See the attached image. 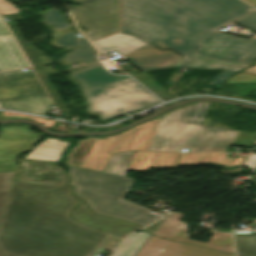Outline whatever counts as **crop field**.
Here are the masks:
<instances>
[{
    "instance_id": "13",
    "label": "crop field",
    "mask_w": 256,
    "mask_h": 256,
    "mask_svg": "<svg viewBox=\"0 0 256 256\" xmlns=\"http://www.w3.org/2000/svg\"><path fill=\"white\" fill-rule=\"evenodd\" d=\"M67 142H60L58 139L47 138L39 143L35 149L25 158L20 166L43 169L48 161H58L61 152Z\"/></svg>"
},
{
    "instance_id": "22",
    "label": "crop field",
    "mask_w": 256,
    "mask_h": 256,
    "mask_svg": "<svg viewBox=\"0 0 256 256\" xmlns=\"http://www.w3.org/2000/svg\"><path fill=\"white\" fill-rule=\"evenodd\" d=\"M256 32V11L235 21Z\"/></svg>"
},
{
    "instance_id": "30",
    "label": "crop field",
    "mask_w": 256,
    "mask_h": 256,
    "mask_svg": "<svg viewBox=\"0 0 256 256\" xmlns=\"http://www.w3.org/2000/svg\"><path fill=\"white\" fill-rule=\"evenodd\" d=\"M0 117H4V115L2 114V112H0Z\"/></svg>"
},
{
    "instance_id": "25",
    "label": "crop field",
    "mask_w": 256,
    "mask_h": 256,
    "mask_svg": "<svg viewBox=\"0 0 256 256\" xmlns=\"http://www.w3.org/2000/svg\"><path fill=\"white\" fill-rule=\"evenodd\" d=\"M166 219V217L160 219L159 221L153 223L151 226H149L148 228H146V230L152 234L153 232H155L157 230V228L162 224V222Z\"/></svg>"
},
{
    "instance_id": "17",
    "label": "crop field",
    "mask_w": 256,
    "mask_h": 256,
    "mask_svg": "<svg viewBox=\"0 0 256 256\" xmlns=\"http://www.w3.org/2000/svg\"><path fill=\"white\" fill-rule=\"evenodd\" d=\"M45 12H46L47 16L44 20L47 23L57 24L55 27L56 29H63V28H67V27L70 28V26L67 24V22L63 19V17L59 14L58 11L52 9V10H48ZM75 39H76V37L72 30V32L66 33L63 37L58 39L56 42L59 45H63L67 48H70V47H74L77 45Z\"/></svg>"
},
{
    "instance_id": "9",
    "label": "crop field",
    "mask_w": 256,
    "mask_h": 256,
    "mask_svg": "<svg viewBox=\"0 0 256 256\" xmlns=\"http://www.w3.org/2000/svg\"><path fill=\"white\" fill-rule=\"evenodd\" d=\"M81 6L71 9L78 25L92 41L119 31V0H73Z\"/></svg>"
},
{
    "instance_id": "24",
    "label": "crop field",
    "mask_w": 256,
    "mask_h": 256,
    "mask_svg": "<svg viewBox=\"0 0 256 256\" xmlns=\"http://www.w3.org/2000/svg\"><path fill=\"white\" fill-rule=\"evenodd\" d=\"M217 104H218V103H216V102H210V104H209V106H208V108H207V109H209L208 112H210V114H208V112H207L206 116H205V117L203 116V118H202V120H201V122H200L201 125H206V126L209 125L210 120H211V118H212V117H211L212 112H214V110H215ZM206 111H207V110H206ZM205 113H206V112H205ZM204 115H205V114H204Z\"/></svg>"
},
{
    "instance_id": "21",
    "label": "crop field",
    "mask_w": 256,
    "mask_h": 256,
    "mask_svg": "<svg viewBox=\"0 0 256 256\" xmlns=\"http://www.w3.org/2000/svg\"><path fill=\"white\" fill-rule=\"evenodd\" d=\"M237 83H256V76L240 72L224 84H237Z\"/></svg>"
},
{
    "instance_id": "5",
    "label": "crop field",
    "mask_w": 256,
    "mask_h": 256,
    "mask_svg": "<svg viewBox=\"0 0 256 256\" xmlns=\"http://www.w3.org/2000/svg\"><path fill=\"white\" fill-rule=\"evenodd\" d=\"M69 168L71 186H76L77 197L87 201L97 214L112 216L134 222L142 227L159 219L147 213L151 209L124 200L125 193L132 187L135 179L100 172Z\"/></svg>"
},
{
    "instance_id": "15",
    "label": "crop field",
    "mask_w": 256,
    "mask_h": 256,
    "mask_svg": "<svg viewBox=\"0 0 256 256\" xmlns=\"http://www.w3.org/2000/svg\"><path fill=\"white\" fill-rule=\"evenodd\" d=\"M19 181L48 185H66L64 169L58 166H47L44 170L23 167L20 169Z\"/></svg>"
},
{
    "instance_id": "1",
    "label": "crop field",
    "mask_w": 256,
    "mask_h": 256,
    "mask_svg": "<svg viewBox=\"0 0 256 256\" xmlns=\"http://www.w3.org/2000/svg\"><path fill=\"white\" fill-rule=\"evenodd\" d=\"M253 10L238 0H122V31L182 55L171 67L226 69L207 83L219 85L256 57V39L216 29Z\"/></svg>"
},
{
    "instance_id": "18",
    "label": "crop field",
    "mask_w": 256,
    "mask_h": 256,
    "mask_svg": "<svg viewBox=\"0 0 256 256\" xmlns=\"http://www.w3.org/2000/svg\"><path fill=\"white\" fill-rule=\"evenodd\" d=\"M151 235L147 233L132 234L117 248L112 256H134L140 247L147 241Z\"/></svg>"
},
{
    "instance_id": "11",
    "label": "crop field",
    "mask_w": 256,
    "mask_h": 256,
    "mask_svg": "<svg viewBox=\"0 0 256 256\" xmlns=\"http://www.w3.org/2000/svg\"><path fill=\"white\" fill-rule=\"evenodd\" d=\"M72 216L84 227L112 236L120 241L130 232L141 227L120 220L93 215L81 201V204L72 212Z\"/></svg>"
},
{
    "instance_id": "27",
    "label": "crop field",
    "mask_w": 256,
    "mask_h": 256,
    "mask_svg": "<svg viewBox=\"0 0 256 256\" xmlns=\"http://www.w3.org/2000/svg\"><path fill=\"white\" fill-rule=\"evenodd\" d=\"M1 251H2V253H3L4 256H19V255H16V254H13V253L4 251V250H1Z\"/></svg>"
},
{
    "instance_id": "28",
    "label": "crop field",
    "mask_w": 256,
    "mask_h": 256,
    "mask_svg": "<svg viewBox=\"0 0 256 256\" xmlns=\"http://www.w3.org/2000/svg\"><path fill=\"white\" fill-rule=\"evenodd\" d=\"M246 2H248L249 4L253 5L256 7V0H244Z\"/></svg>"
},
{
    "instance_id": "8",
    "label": "crop field",
    "mask_w": 256,
    "mask_h": 256,
    "mask_svg": "<svg viewBox=\"0 0 256 256\" xmlns=\"http://www.w3.org/2000/svg\"><path fill=\"white\" fill-rule=\"evenodd\" d=\"M93 44L102 54L117 50L144 72L169 68L181 57L170 50L159 52L145 40L123 32Z\"/></svg>"
},
{
    "instance_id": "29",
    "label": "crop field",
    "mask_w": 256,
    "mask_h": 256,
    "mask_svg": "<svg viewBox=\"0 0 256 256\" xmlns=\"http://www.w3.org/2000/svg\"><path fill=\"white\" fill-rule=\"evenodd\" d=\"M254 174H256V169L253 171ZM252 181H256V176L251 179Z\"/></svg>"
},
{
    "instance_id": "23",
    "label": "crop field",
    "mask_w": 256,
    "mask_h": 256,
    "mask_svg": "<svg viewBox=\"0 0 256 256\" xmlns=\"http://www.w3.org/2000/svg\"><path fill=\"white\" fill-rule=\"evenodd\" d=\"M3 113H4L5 116H21V117L33 118L37 122L43 124L46 128H52V126L55 123V121H53V120H44V119H41V118H37V117L29 116V115H24V114L11 113V112H3Z\"/></svg>"
},
{
    "instance_id": "12",
    "label": "crop field",
    "mask_w": 256,
    "mask_h": 256,
    "mask_svg": "<svg viewBox=\"0 0 256 256\" xmlns=\"http://www.w3.org/2000/svg\"><path fill=\"white\" fill-rule=\"evenodd\" d=\"M135 256H234L151 236Z\"/></svg>"
},
{
    "instance_id": "2",
    "label": "crop field",
    "mask_w": 256,
    "mask_h": 256,
    "mask_svg": "<svg viewBox=\"0 0 256 256\" xmlns=\"http://www.w3.org/2000/svg\"><path fill=\"white\" fill-rule=\"evenodd\" d=\"M71 187L13 182L0 220V248L22 256H91L108 238L69 217Z\"/></svg>"
},
{
    "instance_id": "6",
    "label": "crop field",
    "mask_w": 256,
    "mask_h": 256,
    "mask_svg": "<svg viewBox=\"0 0 256 256\" xmlns=\"http://www.w3.org/2000/svg\"><path fill=\"white\" fill-rule=\"evenodd\" d=\"M225 153H154L143 151L119 152L111 155L103 172L125 176L127 170L148 171L150 168L175 167L179 165L215 163L231 167L239 165L244 158H227Z\"/></svg>"
},
{
    "instance_id": "19",
    "label": "crop field",
    "mask_w": 256,
    "mask_h": 256,
    "mask_svg": "<svg viewBox=\"0 0 256 256\" xmlns=\"http://www.w3.org/2000/svg\"><path fill=\"white\" fill-rule=\"evenodd\" d=\"M238 254L256 255V235H235Z\"/></svg>"
},
{
    "instance_id": "4",
    "label": "crop field",
    "mask_w": 256,
    "mask_h": 256,
    "mask_svg": "<svg viewBox=\"0 0 256 256\" xmlns=\"http://www.w3.org/2000/svg\"><path fill=\"white\" fill-rule=\"evenodd\" d=\"M70 75L82 85L89 112L101 120L161 103L130 77L108 73L100 62Z\"/></svg>"
},
{
    "instance_id": "16",
    "label": "crop field",
    "mask_w": 256,
    "mask_h": 256,
    "mask_svg": "<svg viewBox=\"0 0 256 256\" xmlns=\"http://www.w3.org/2000/svg\"><path fill=\"white\" fill-rule=\"evenodd\" d=\"M76 41L78 47L72 52L64 55L67 63L82 61L84 64H87L97 61L95 58L97 52L84 37L77 38Z\"/></svg>"
},
{
    "instance_id": "14",
    "label": "crop field",
    "mask_w": 256,
    "mask_h": 256,
    "mask_svg": "<svg viewBox=\"0 0 256 256\" xmlns=\"http://www.w3.org/2000/svg\"><path fill=\"white\" fill-rule=\"evenodd\" d=\"M29 66L0 18V70Z\"/></svg>"
},
{
    "instance_id": "3",
    "label": "crop field",
    "mask_w": 256,
    "mask_h": 256,
    "mask_svg": "<svg viewBox=\"0 0 256 256\" xmlns=\"http://www.w3.org/2000/svg\"><path fill=\"white\" fill-rule=\"evenodd\" d=\"M208 101L169 110L150 122L104 139H86L72 149L67 164L103 169L110 153L120 150L193 152L225 151L229 145L250 147L256 133L198 125Z\"/></svg>"
},
{
    "instance_id": "26",
    "label": "crop field",
    "mask_w": 256,
    "mask_h": 256,
    "mask_svg": "<svg viewBox=\"0 0 256 256\" xmlns=\"http://www.w3.org/2000/svg\"><path fill=\"white\" fill-rule=\"evenodd\" d=\"M242 72H246V73H250V74L256 75V66L248 68V69H245Z\"/></svg>"
},
{
    "instance_id": "7",
    "label": "crop field",
    "mask_w": 256,
    "mask_h": 256,
    "mask_svg": "<svg viewBox=\"0 0 256 256\" xmlns=\"http://www.w3.org/2000/svg\"><path fill=\"white\" fill-rule=\"evenodd\" d=\"M33 72L21 69L0 72V105L2 109H13L46 116L49 98Z\"/></svg>"
},
{
    "instance_id": "20",
    "label": "crop field",
    "mask_w": 256,
    "mask_h": 256,
    "mask_svg": "<svg viewBox=\"0 0 256 256\" xmlns=\"http://www.w3.org/2000/svg\"><path fill=\"white\" fill-rule=\"evenodd\" d=\"M15 173H0V217ZM0 256H3L0 251Z\"/></svg>"
},
{
    "instance_id": "10",
    "label": "crop field",
    "mask_w": 256,
    "mask_h": 256,
    "mask_svg": "<svg viewBox=\"0 0 256 256\" xmlns=\"http://www.w3.org/2000/svg\"><path fill=\"white\" fill-rule=\"evenodd\" d=\"M184 216L181 213L169 215L153 235L234 254L231 233L208 231V233L212 234V239L209 243L188 240L187 227L179 222Z\"/></svg>"
}]
</instances>
